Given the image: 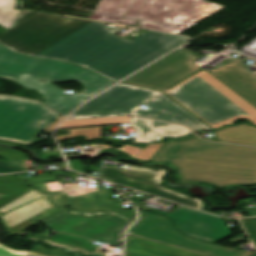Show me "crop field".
<instances>
[{"instance_id":"1","label":"crop field","mask_w":256,"mask_h":256,"mask_svg":"<svg viewBox=\"0 0 256 256\" xmlns=\"http://www.w3.org/2000/svg\"><path fill=\"white\" fill-rule=\"evenodd\" d=\"M104 25L23 10L0 35V44L13 52L78 64L118 82L188 41L152 31L129 41L113 34L118 29Z\"/></svg>"},{"instance_id":"2","label":"crop field","mask_w":256,"mask_h":256,"mask_svg":"<svg viewBox=\"0 0 256 256\" xmlns=\"http://www.w3.org/2000/svg\"><path fill=\"white\" fill-rule=\"evenodd\" d=\"M151 160L178 167L183 177L180 181L208 182L217 187L256 184V148L181 138L166 142Z\"/></svg>"},{"instance_id":"3","label":"crop field","mask_w":256,"mask_h":256,"mask_svg":"<svg viewBox=\"0 0 256 256\" xmlns=\"http://www.w3.org/2000/svg\"><path fill=\"white\" fill-rule=\"evenodd\" d=\"M0 77L37 90L46 100L44 104L68 115L75 107L90 98L84 93L66 94L51 81H79L84 92L95 95L115 83L81 66L13 53L0 45Z\"/></svg>"},{"instance_id":"4","label":"crop field","mask_w":256,"mask_h":256,"mask_svg":"<svg viewBox=\"0 0 256 256\" xmlns=\"http://www.w3.org/2000/svg\"><path fill=\"white\" fill-rule=\"evenodd\" d=\"M165 93L212 129L240 118L256 125V109L204 70Z\"/></svg>"},{"instance_id":"5","label":"crop field","mask_w":256,"mask_h":256,"mask_svg":"<svg viewBox=\"0 0 256 256\" xmlns=\"http://www.w3.org/2000/svg\"><path fill=\"white\" fill-rule=\"evenodd\" d=\"M58 116L37 102L0 96V139L30 143Z\"/></svg>"},{"instance_id":"6","label":"crop field","mask_w":256,"mask_h":256,"mask_svg":"<svg viewBox=\"0 0 256 256\" xmlns=\"http://www.w3.org/2000/svg\"><path fill=\"white\" fill-rule=\"evenodd\" d=\"M199 58L185 49H179L122 83L162 92L200 70L193 63Z\"/></svg>"},{"instance_id":"7","label":"crop field","mask_w":256,"mask_h":256,"mask_svg":"<svg viewBox=\"0 0 256 256\" xmlns=\"http://www.w3.org/2000/svg\"><path fill=\"white\" fill-rule=\"evenodd\" d=\"M129 233L211 256H245L248 254L186 237L176 231L173 223L164 216L140 213L139 221L131 227Z\"/></svg>"},{"instance_id":"8","label":"crop field","mask_w":256,"mask_h":256,"mask_svg":"<svg viewBox=\"0 0 256 256\" xmlns=\"http://www.w3.org/2000/svg\"><path fill=\"white\" fill-rule=\"evenodd\" d=\"M159 93L160 92L119 83L83 105L79 110L74 112L69 119L128 115L139 104Z\"/></svg>"},{"instance_id":"9","label":"crop field","mask_w":256,"mask_h":256,"mask_svg":"<svg viewBox=\"0 0 256 256\" xmlns=\"http://www.w3.org/2000/svg\"><path fill=\"white\" fill-rule=\"evenodd\" d=\"M166 173L160 168H145L130 165L125 171L119 169L103 167L101 178L125 184L157 196L177 201L201 209L200 200L185 196L175 190H171L159 185Z\"/></svg>"},{"instance_id":"10","label":"crop field","mask_w":256,"mask_h":256,"mask_svg":"<svg viewBox=\"0 0 256 256\" xmlns=\"http://www.w3.org/2000/svg\"><path fill=\"white\" fill-rule=\"evenodd\" d=\"M181 233L212 243L231 237L223 218L180 207L169 215Z\"/></svg>"},{"instance_id":"11","label":"crop field","mask_w":256,"mask_h":256,"mask_svg":"<svg viewBox=\"0 0 256 256\" xmlns=\"http://www.w3.org/2000/svg\"><path fill=\"white\" fill-rule=\"evenodd\" d=\"M132 222L115 212L103 213L66 233L117 245Z\"/></svg>"},{"instance_id":"12","label":"crop field","mask_w":256,"mask_h":256,"mask_svg":"<svg viewBox=\"0 0 256 256\" xmlns=\"http://www.w3.org/2000/svg\"><path fill=\"white\" fill-rule=\"evenodd\" d=\"M243 61L233 58L209 73L256 107V73L244 65Z\"/></svg>"},{"instance_id":"13","label":"crop field","mask_w":256,"mask_h":256,"mask_svg":"<svg viewBox=\"0 0 256 256\" xmlns=\"http://www.w3.org/2000/svg\"><path fill=\"white\" fill-rule=\"evenodd\" d=\"M144 105L150 109L136 110L133 115L182 123L191 127L195 132L201 129L210 130L208 126L163 94Z\"/></svg>"},{"instance_id":"14","label":"crop field","mask_w":256,"mask_h":256,"mask_svg":"<svg viewBox=\"0 0 256 256\" xmlns=\"http://www.w3.org/2000/svg\"><path fill=\"white\" fill-rule=\"evenodd\" d=\"M132 125L139 129L136 142H157L162 137H180L190 133L184 126L160 121L133 118Z\"/></svg>"},{"instance_id":"15","label":"crop field","mask_w":256,"mask_h":256,"mask_svg":"<svg viewBox=\"0 0 256 256\" xmlns=\"http://www.w3.org/2000/svg\"><path fill=\"white\" fill-rule=\"evenodd\" d=\"M125 256H204L162 243L127 235Z\"/></svg>"},{"instance_id":"16","label":"crop field","mask_w":256,"mask_h":256,"mask_svg":"<svg viewBox=\"0 0 256 256\" xmlns=\"http://www.w3.org/2000/svg\"><path fill=\"white\" fill-rule=\"evenodd\" d=\"M213 133L222 142L256 146V128L248 123L214 130Z\"/></svg>"},{"instance_id":"17","label":"crop field","mask_w":256,"mask_h":256,"mask_svg":"<svg viewBox=\"0 0 256 256\" xmlns=\"http://www.w3.org/2000/svg\"><path fill=\"white\" fill-rule=\"evenodd\" d=\"M102 212L90 214V213H77L66 210L41 224L53 228L58 232H66L90 219L101 214Z\"/></svg>"},{"instance_id":"18","label":"crop field","mask_w":256,"mask_h":256,"mask_svg":"<svg viewBox=\"0 0 256 256\" xmlns=\"http://www.w3.org/2000/svg\"><path fill=\"white\" fill-rule=\"evenodd\" d=\"M44 242L65 247L66 250L80 252V256H89L99 247L98 245L91 244L92 241L61 233L55 234Z\"/></svg>"},{"instance_id":"19","label":"crop field","mask_w":256,"mask_h":256,"mask_svg":"<svg viewBox=\"0 0 256 256\" xmlns=\"http://www.w3.org/2000/svg\"><path fill=\"white\" fill-rule=\"evenodd\" d=\"M32 188L24 186L23 179L14 176H0V193L8 194L0 199V207L30 191Z\"/></svg>"},{"instance_id":"20","label":"crop field","mask_w":256,"mask_h":256,"mask_svg":"<svg viewBox=\"0 0 256 256\" xmlns=\"http://www.w3.org/2000/svg\"><path fill=\"white\" fill-rule=\"evenodd\" d=\"M129 119L130 117H114V118L88 119V120H79V121H65L59 128L129 123Z\"/></svg>"},{"instance_id":"21","label":"crop field","mask_w":256,"mask_h":256,"mask_svg":"<svg viewBox=\"0 0 256 256\" xmlns=\"http://www.w3.org/2000/svg\"><path fill=\"white\" fill-rule=\"evenodd\" d=\"M16 0H0V25L9 29L22 10L13 9Z\"/></svg>"},{"instance_id":"22","label":"crop field","mask_w":256,"mask_h":256,"mask_svg":"<svg viewBox=\"0 0 256 256\" xmlns=\"http://www.w3.org/2000/svg\"><path fill=\"white\" fill-rule=\"evenodd\" d=\"M28 183L30 185H33L37 187L38 189L48 193V194H53V193H60L62 191H55V192H50L45 184V182L49 181H58L56 178H54L52 175H47V176H38V177H29L26 178Z\"/></svg>"},{"instance_id":"23","label":"crop field","mask_w":256,"mask_h":256,"mask_svg":"<svg viewBox=\"0 0 256 256\" xmlns=\"http://www.w3.org/2000/svg\"><path fill=\"white\" fill-rule=\"evenodd\" d=\"M164 143L151 144L137 154L133 155L132 158L142 161H149L153 157V155L164 145Z\"/></svg>"},{"instance_id":"24","label":"crop field","mask_w":256,"mask_h":256,"mask_svg":"<svg viewBox=\"0 0 256 256\" xmlns=\"http://www.w3.org/2000/svg\"><path fill=\"white\" fill-rule=\"evenodd\" d=\"M33 194L36 196V198L39 200V202L42 204V206L46 209V211L48 212V214L51 216L65 210L63 208H57L53 205H51L50 203L47 202V196L41 194L40 192H38L37 190L33 189L32 190Z\"/></svg>"},{"instance_id":"25","label":"crop field","mask_w":256,"mask_h":256,"mask_svg":"<svg viewBox=\"0 0 256 256\" xmlns=\"http://www.w3.org/2000/svg\"><path fill=\"white\" fill-rule=\"evenodd\" d=\"M72 133L73 137L77 135H85L87 139H93L95 137H101V128L72 130Z\"/></svg>"},{"instance_id":"26","label":"crop field","mask_w":256,"mask_h":256,"mask_svg":"<svg viewBox=\"0 0 256 256\" xmlns=\"http://www.w3.org/2000/svg\"><path fill=\"white\" fill-rule=\"evenodd\" d=\"M246 231L256 245V218L241 219Z\"/></svg>"},{"instance_id":"27","label":"crop field","mask_w":256,"mask_h":256,"mask_svg":"<svg viewBox=\"0 0 256 256\" xmlns=\"http://www.w3.org/2000/svg\"><path fill=\"white\" fill-rule=\"evenodd\" d=\"M0 217L5 222L6 226L8 227L9 231L13 234H19L20 232L17 230V228L14 226L13 222L9 218L6 211L2 208H0Z\"/></svg>"},{"instance_id":"28","label":"crop field","mask_w":256,"mask_h":256,"mask_svg":"<svg viewBox=\"0 0 256 256\" xmlns=\"http://www.w3.org/2000/svg\"><path fill=\"white\" fill-rule=\"evenodd\" d=\"M52 203L58 206H70L71 204V197H68L66 194L57 195V196H50Z\"/></svg>"},{"instance_id":"29","label":"crop field","mask_w":256,"mask_h":256,"mask_svg":"<svg viewBox=\"0 0 256 256\" xmlns=\"http://www.w3.org/2000/svg\"><path fill=\"white\" fill-rule=\"evenodd\" d=\"M25 252L12 250L2 244H0V256H24Z\"/></svg>"},{"instance_id":"30","label":"crop field","mask_w":256,"mask_h":256,"mask_svg":"<svg viewBox=\"0 0 256 256\" xmlns=\"http://www.w3.org/2000/svg\"><path fill=\"white\" fill-rule=\"evenodd\" d=\"M16 171V168H14L13 166L5 165L2 163V160H0V173H12Z\"/></svg>"},{"instance_id":"31","label":"crop field","mask_w":256,"mask_h":256,"mask_svg":"<svg viewBox=\"0 0 256 256\" xmlns=\"http://www.w3.org/2000/svg\"><path fill=\"white\" fill-rule=\"evenodd\" d=\"M72 209L78 210V211H84V212H95V211H106L108 208H89V207H71Z\"/></svg>"},{"instance_id":"32","label":"crop field","mask_w":256,"mask_h":256,"mask_svg":"<svg viewBox=\"0 0 256 256\" xmlns=\"http://www.w3.org/2000/svg\"><path fill=\"white\" fill-rule=\"evenodd\" d=\"M71 162V168L74 169V170H77V171H80L83 173V165L80 161L78 160H73V161H70Z\"/></svg>"},{"instance_id":"33","label":"crop field","mask_w":256,"mask_h":256,"mask_svg":"<svg viewBox=\"0 0 256 256\" xmlns=\"http://www.w3.org/2000/svg\"><path fill=\"white\" fill-rule=\"evenodd\" d=\"M117 213H119V214H121V215H123V216H125V217H127V218H129V219H131V220H134L135 217H136L134 210L119 211V212H117Z\"/></svg>"},{"instance_id":"34","label":"crop field","mask_w":256,"mask_h":256,"mask_svg":"<svg viewBox=\"0 0 256 256\" xmlns=\"http://www.w3.org/2000/svg\"><path fill=\"white\" fill-rule=\"evenodd\" d=\"M47 238H49V237L42 235L40 233H37V234L31 236L30 238H28L27 240L43 241Z\"/></svg>"},{"instance_id":"35","label":"crop field","mask_w":256,"mask_h":256,"mask_svg":"<svg viewBox=\"0 0 256 256\" xmlns=\"http://www.w3.org/2000/svg\"><path fill=\"white\" fill-rule=\"evenodd\" d=\"M60 156L58 151L42 154V159Z\"/></svg>"},{"instance_id":"36","label":"crop field","mask_w":256,"mask_h":256,"mask_svg":"<svg viewBox=\"0 0 256 256\" xmlns=\"http://www.w3.org/2000/svg\"><path fill=\"white\" fill-rule=\"evenodd\" d=\"M0 143H6V144H11V145H28L26 143H19V142L6 141V140H0Z\"/></svg>"},{"instance_id":"37","label":"crop field","mask_w":256,"mask_h":256,"mask_svg":"<svg viewBox=\"0 0 256 256\" xmlns=\"http://www.w3.org/2000/svg\"><path fill=\"white\" fill-rule=\"evenodd\" d=\"M25 256H41L32 252H28Z\"/></svg>"},{"instance_id":"38","label":"crop field","mask_w":256,"mask_h":256,"mask_svg":"<svg viewBox=\"0 0 256 256\" xmlns=\"http://www.w3.org/2000/svg\"><path fill=\"white\" fill-rule=\"evenodd\" d=\"M247 256H256V253L255 254H251V255H247Z\"/></svg>"}]
</instances>
